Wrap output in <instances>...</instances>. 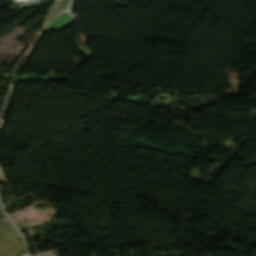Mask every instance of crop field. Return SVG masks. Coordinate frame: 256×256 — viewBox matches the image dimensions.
<instances>
[{"mask_svg": "<svg viewBox=\"0 0 256 256\" xmlns=\"http://www.w3.org/2000/svg\"><path fill=\"white\" fill-rule=\"evenodd\" d=\"M36 213H38V210L35 207L29 205V206H26L23 209L15 212L14 214H12L10 216L13 219L14 223H16V222H19V221H21L27 217H30Z\"/></svg>", "mask_w": 256, "mask_h": 256, "instance_id": "1", "label": "crop field"}, {"mask_svg": "<svg viewBox=\"0 0 256 256\" xmlns=\"http://www.w3.org/2000/svg\"><path fill=\"white\" fill-rule=\"evenodd\" d=\"M5 179H4V176H3V173H2V169H1V167H0V182L1 181H4Z\"/></svg>", "mask_w": 256, "mask_h": 256, "instance_id": "2", "label": "crop field"}, {"mask_svg": "<svg viewBox=\"0 0 256 256\" xmlns=\"http://www.w3.org/2000/svg\"><path fill=\"white\" fill-rule=\"evenodd\" d=\"M44 256H51V254L46 253Z\"/></svg>", "mask_w": 256, "mask_h": 256, "instance_id": "3", "label": "crop field"}]
</instances>
